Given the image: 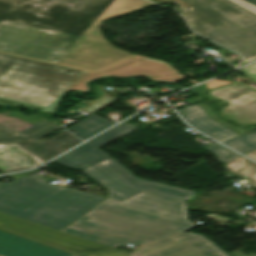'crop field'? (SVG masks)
<instances>
[{
    "mask_svg": "<svg viewBox=\"0 0 256 256\" xmlns=\"http://www.w3.org/2000/svg\"><path fill=\"white\" fill-rule=\"evenodd\" d=\"M153 5L145 0H0V51L96 71L130 54L98 24Z\"/></svg>",
    "mask_w": 256,
    "mask_h": 256,
    "instance_id": "crop-field-1",
    "label": "crop field"
},
{
    "mask_svg": "<svg viewBox=\"0 0 256 256\" xmlns=\"http://www.w3.org/2000/svg\"><path fill=\"white\" fill-rule=\"evenodd\" d=\"M106 75H142L162 82L184 79L164 63L141 57L92 73L0 53V104L25 105L54 114L65 92H89L87 84Z\"/></svg>",
    "mask_w": 256,
    "mask_h": 256,
    "instance_id": "crop-field-2",
    "label": "crop field"
},
{
    "mask_svg": "<svg viewBox=\"0 0 256 256\" xmlns=\"http://www.w3.org/2000/svg\"><path fill=\"white\" fill-rule=\"evenodd\" d=\"M193 225L184 201L143 191L122 202L105 200L62 232L117 248L142 246Z\"/></svg>",
    "mask_w": 256,
    "mask_h": 256,
    "instance_id": "crop-field-3",
    "label": "crop field"
},
{
    "mask_svg": "<svg viewBox=\"0 0 256 256\" xmlns=\"http://www.w3.org/2000/svg\"><path fill=\"white\" fill-rule=\"evenodd\" d=\"M105 199L22 177L0 189V212L61 231Z\"/></svg>",
    "mask_w": 256,
    "mask_h": 256,
    "instance_id": "crop-field-4",
    "label": "crop field"
},
{
    "mask_svg": "<svg viewBox=\"0 0 256 256\" xmlns=\"http://www.w3.org/2000/svg\"><path fill=\"white\" fill-rule=\"evenodd\" d=\"M177 2L194 32L240 53L242 64L256 59V16L228 0H150ZM241 64V65H242Z\"/></svg>",
    "mask_w": 256,
    "mask_h": 256,
    "instance_id": "crop-field-5",
    "label": "crop field"
},
{
    "mask_svg": "<svg viewBox=\"0 0 256 256\" xmlns=\"http://www.w3.org/2000/svg\"><path fill=\"white\" fill-rule=\"evenodd\" d=\"M81 170L109 191L108 198L119 201L143 190L184 201L195 193L139 179L111 157Z\"/></svg>",
    "mask_w": 256,
    "mask_h": 256,
    "instance_id": "crop-field-6",
    "label": "crop field"
},
{
    "mask_svg": "<svg viewBox=\"0 0 256 256\" xmlns=\"http://www.w3.org/2000/svg\"><path fill=\"white\" fill-rule=\"evenodd\" d=\"M0 230L51 245L77 255L114 249L1 213Z\"/></svg>",
    "mask_w": 256,
    "mask_h": 256,
    "instance_id": "crop-field-7",
    "label": "crop field"
},
{
    "mask_svg": "<svg viewBox=\"0 0 256 256\" xmlns=\"http://www.w3.org/2000/svg\"><path fill=\"white\" fill-rule=\"evenodd\" d=\"M129 256H228L201 235L183 233L140 249Z\"/></svg>",
    "mask_w": 256,
    "mask_h": 256,
    "instance_id": "crop-field-8",
    "label": "crop field"
},
{
    "mask_svg": "<svg viewBox=\"0 0 256 256\" xmlns=\"http://www.w3.org/2000/svg\"><path fill=\"white\" fill-rule=\"evenodd\" d=\"M256 80V63L241 69ZM211 96L229 102L222 110L225 115H235V121L247 125L256 121V90L236 84L209 92Z\"/></svg>",
    "mask_w": 256,
    "mask_h": 256,
    "instance_id": "crop-field-9",
    "label": "crop field"
},
{
    "mask_svg": "<svg viewBox=\"0 0 256 256\" xmlns=\"http://www.w3.org/2000/svg\"><path fill=\"white\" fill-rule=\"evenodd\" d=\"M134 129H136V127L124 123L103 135L101 134L102 136L84 144L83 146L73 150L54 162L76 170L84 168L109 157L98 149Z\"/></svg>",
    "mask_w": 256,
    "mask_h": 256,
    "instance_id": "crop-field-10",
    "label": "crop field"
},
{
    "mask_svg": "<svg viewBox=\"0 0 256 256\" xmlns=\"http://www.w3.org/2000/svg\"><path fill=\"white\" fill-rule=\"evenodd\" d=\"M210 105V102H206L177 111L192 127L219 142L241 133L240 128H235L215 116L209 108Z\"/></svg>",
    "mask_w": 256,
    "mask_h": 256,
    "instance_id": "crop-field-11",
    "label": "crop field"
},
{
    "mask_svg": "<svg viewBox=\"0 0 256 256\" xmlns=\"http://www.w3.org/2000/svg\"><path fill=\"white\" fill-rule=\"evenodd\" d=\"M2 256H74L3 231H0Z\"/></svg>",
    "mask_w": 256,
    "mask_h": 256,
    "instance_id": "crop-field-12",
    "label": "crop field"
},
{
    "mask_svg": "<svg viewBox=\"0 0 256 256\" xmlns=\"http://www.w3.org/2000/svg\"><path fill=\"white\" fill-rule=\"evenodd\" d=\"M79 139L62 131L49 140L14 143L43 163L80 143Z\"/></svg>",
    "mask_w": 256,
    "mask_h": 256,
    "instance_id": "crop-field-13",
    "label": "crop field"
},
{
    "mask_svg": "<svg viewBox=\"0 0 256 256\" xmlns=\"http://www.w3.org/2000/svg\"><path fill=\"white\" fill-rule=\"evenodd\" d=\"M59 128L61 127L56 120L45 119L18 133L0 126V143L38 140Z\"/></svg>",
    "mask_w": 256,
    "mask_h": 256,
    "instance_id": "crop-field-14",
    "label": "crop field"
},
{
    "mask_svg": "<svg viewBox=\"0 0 256 256\" xmlns=\"http://www.w3.org/2000/svg\"><path fill=\"white\" fill-rule=\"evenodd\" d=\"M42 164L12 143L0 144V168L4 171Z\"/></svg>",
    "mask_w": 256,
    "mask_h": 256,
    "instance_id": "crop-field-15",
    "label": "crop field"
},
{
    "mask_svg": "<svg viewBox=\"0 0 256 256\" xmlns=\"http://www.w3.org/2000/svg\"><path fill=\"white\" fill-rule=\"evenodd\" d=\"M114 123L105 120L95 114L68 128L83 139H88L99 131L113 125Z\"/></svg>",
    "mask_w": 256,
    "mask_h": 256,
    "instance_id": "crop-field-16",
    "label": "crop field"
},
{
    "mask_svg": "<svg viewBox=\"0 0 256 256\" xmlns=\"http://www.w3.org/2000/svg\"><path fill=\"white\" fill-rule=\"evenodd\" d=\"M222 166L240 177L248 178L256 187V164L240 156Z\"/></svg>",
    "mask_w": 256,
    "mask_h": 256,
    "instance_id": "crop-field-17",
    "label": "crop field"
},
{
    "mask_svg": "<svg viewBox=\"0 0 256 256\" xmlns=\"http://www.w3.org/2000/svg\"><path fill=\"white\" fill-rule=\"evenodd\" d=\"M223 144L245 154L256 148V132L244 133L236 138L223 142Z\"/></svg>",
    "mask_w": 256,
    "mask_h": 256,
    "instance_id": "crop-field-18",
    "label": "crop field"
},
{
    "mask_svg": "<svg viewBox=\"0 0 256 256\" xmlns=\"http://www.w3.org/2000/svg\"><path fill=\"white\" fill-rule=\"evenodd\" d=\"M221 164L239 156L238 154L226 149L225 147L214 143L206 148Z\"/></svg>",
    "mask_w": 256,
    "mask_h": 256,
    "instance_id": "crop-field-19",
    "label": "crop field"
},
{
    "mask_svg": "<svg viewBox=\"0 0 256 256\" xmlns=\"http://www.w3.org/2000/svg\"><path fill=\"white\" fill-rule=\"evenodd\" d=\"M230 1L235 3V4H237V5H239V6H241L244 9H246V10L256 14V7L255 6L245 2L243 0H230Z\"/></svg>",
    "mask_w": 256,
    "mask_h": 256,
    "instance_id": "crop-field-20",
    "label": "crop field"
},
{
    "mask_svg": "<svg viewBox=\"0 0 256 256\" xmlns=\"http://www.w3.org/2000/svg\"><path fill=\"white\" fill-rule=\"evenodd\" d=\"M86 256H128V255L127 253L121 252V251H111V252L92 254V255H86Z\"/></svg>",
    "mask_w": 256,
    "mask_h": 256,
    "instance_id": "crop-field-21",
    "label": "crop field"
},
{
    "mask_svg": "<svg viewBox=\"0 0 256 256\" xmlns=\"http://www.w3.org/2000/svg\"><path fill=\"white\" fill-rule=\"evenodd\" d=\"M233 83L231 81H224V80H213L211 82L206 83L207 89H211L220 85L230 84Z\"/></svg>",
    "mask_w": 256,
    "mask_h": 256,
    "instance_id": "crop-field-22",
    "label": "crop field"
},
{
    "mask_svg": "<svg viewBox=\"0 0 256 256\" xmlns=\"http://www.w3.org/2000/svg\"><path fill=\"white\" fill-rule=\"evenodd\" d=\"M245 155L250 157V158H252V159H254V160H256V149L251 151V152H249V153H247V154H245Z\"/></svg>",
    "mask_w": 256,
    "mask_h": 256,
    "instance_id": "crop-field-23",
    "label": "crop field"
},
{
    "mask_svg": "<svg viewBox=\"0 0 256 256\" xmlns=\"http://www.w3.org/2000/svg\"><path fill=\"white\" fill-rule=\"evenodd\" d=\"M245 1H247V2H249V3H251V4L256 6V0H245Z\"/></svg>",
    "mask_w": 256,
    "mask_h": 256,
    "instance_id": "crop-field-24",
    "label": "crop field"
},
{
    "mask_svg": "<svg viewBox=\"0 0 256 256\" xmlns=\"http://www.w3.org/2000/svg\"><path fill=\"white\" fill-rule=\"evenodd\" d=\"M5 185H6V184L0 183V188L3 187V186H5Z\"/></svg>",
    "mask_w": 256,
    "mask_h": 256,
    "instance_id": "crop-field-25",
    "label": "crop field"
}]
</instances>
